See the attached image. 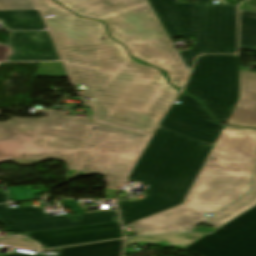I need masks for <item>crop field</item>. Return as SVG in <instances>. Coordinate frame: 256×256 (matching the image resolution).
<instances>
[{
    "mask_svg": "<svg viewBox=\"0 0 256 256\" xmlns=\"http://www.w3.org/2000/svg\"><path fill=\"white\" fill-rule=\"evenodd\" d=\"M47 191H34L33 189H22L19 186L8 188L9 199L13 201L34 198L33 194Z\"/></svg>",
    "mask_w": 256,
    "mask_h": 256,
    "instance_id": "a9b5d70f",
    "label": "crop field"
},
{
    "mask_svg": "<svg viewBox=\"0 0 256 256\" xmlns=\"http://www.w3.org/2000/svg\"><path fill=\"white\" fill-rule=\"evenodd\" d=\"M127 48L133 57L167 70L171 82L182 88L188 72L170 40L129 45Z\"/></svg>",
    "mask_w": 256,
    "mask_h": 256,
    "instance_id": "5142ce71",
    "label": "crop field"
},
{
    "mask_svg": "<svg viewBox=\"0 0 256 256\" xmlns=\"http://www.w3.org/2000/svg\"><path fill=\"white\" fill-rule=\"evenodd\" d=\"M170 38L191 35L195 44L189 51H179L190 70L194 58L202 53H236V6L224 0H149Z\"/></svg>",
    "mask_w": 256,
    "mask_h": 256,
    "instance_id": "f4fd0767",
    "label": "crop field"
},
{
    "mask_svg": "<svg viewBox=\"0 0 256 256\" xmlns=\"http://www.w3.org/2000/svg\"><path fill=\"white\" fill-rule=\"evenodd\" d=\"M179 105L171 106L160 127L214 146L223 125L215 123L194 99L181 94Z\"/></svg>",
    "mask_w": 256,
    "mask_h": 256,
    "instance_id": "d1516ede",
    "label": "crop field"
},
{
    "mask_svg": "<svg viewBox=\"0 0 256 256\" xmlns=\"http://www.w3.org/2000/svg\"><path fill=\"white\" fill-rule=\"evenodd\" d=\"M60 60L47 31L10 32L9 45L0 44V62Z\"/></svg>",
    "mask_w": 256,
    "mask_h": 256,
    "instance_id": "22f410ed",
    "label": "crop field"
},
{
    "mask_svg": "<svg viewBox=\"0 0 256 256\" xmlns=\"http://www.w3.org/2000/svg\"><path fill=\"white\" fill-rule=\"evenodd\" d=\"M62 203H63L65 206H68L70 209H72L73 211H75V212H77V213H79V214L98 212V211L84 212V211L78 206V204H77L74 200H62Z\"/></svg>",
    "mask_w": 256,
    "mask_h": 256,
    "instance_id": "730fd06b",
    "label": "crop field"
},
{
    "mask_svg": "<svg viewBox=\"0 0 256 256\" xmlns=\"http://www.w3.org/2000/svg\"><path fill=\"white\" fill-rule=\"evenodd\" d=\"M0 20L12 30L46 28L37 10L0 11Z\"/></svg>",
    "mask_w": 256,
    "mask_h": 256,
    "instance_id": "4a817a6b",
    "label": "crop field"
},
{
    "mask_svg": "<svg viewBox=\"0 0 256 256\" xmlns=\"http://www.w3.org/2000/svg\"><path fill=\"white\" fill-rule=\"evenodd\" d=\"M123 240L59 249L58 256H120ZM5 256H29L12 253Z\"/></svg>",
    "mask_w": 256,
    "mask_h": 256,
    "instance_id": "733c2abd",
    "label": "crop field"
},
{
    "mask_svg": "<svg viewBox=\"0 0 256 256\" xmlns=\"http://www.w3.org/2000/svg\"><path fill=\"white\" fill-rule=\"evenodd\" d=\"M36 1L43 14L55 15L45 20L58 48L114 43L106 37L101 23L79 19L51 0Z\"/></svg>",
    "mask_w": 256,
    "mask_h": 256,
    "instance_id": "28ad6ade",
    "label": "crop field"
},
{
    "mask_svg": "<svg viewBox=\"0 0 256 256\" xmlns=\"http://www.w3.org/2000/svg\"><path fill=\"white\" fill-rule=\"evenodd\" d=\"M71 217L77 220L73 221ZM114 221H118L116 211L49 217L43 212L42 207L29 206L10 209L6 204L0 205V223L5 225L6 231L30 233Z\"/></svg>",
    "mask_w": 256,
    "mask_h": 256,
    "instance_id": "3316defc",
    "label": "crop field"
},
{
    "mask_svg": "<svg viewBox=\"0 0 256 256\" xmlns=\"http://www.w3.org/2000/svg\"><path fill=\"white\" fill-rule=\"evenodd\" d=\"M227 124L256 127V73L240 71V99Z\"/></svg>",
    "mask_w": 256,
    "mask_h": 256,
    "instance_id": "d9b57169",
    "label": "crop field"
},
{
    "mask_svg": "<svg viewBox=\"0 0 256 256\" xmlns=\"http://www.w3.org/2000/svg\"><path fill=\"white\" fill-rule=\"evenodd\" d=\"M59 50L99 119L151 133L177 94L159 70L133 61L118 43Z\"/></svg>",
    "mask_w": 256,
    "mask_h": 256,
    "instance_id": "8a807250",
    "label": "crop field"
},
{
    "mask_svg": "<svg viewBox=\"0 0 256 256\" xmlns=\"http://www.w3.org/2000/svg\"><path fill=\"white\" fill-rule=\"evenodd\" d=\"M255 203H256V176H255L253 188L249 195L242 198L241 200L234 203L230 207L226 208L222 212L210 218L209 220L205 221L204 223L217 228Z\"/></svg>",
    "mask_w": 256,
    "mask_h": 256,
    "instance_id": "214f88e0",
    "label": "crop field"
},
{
    "mask_svg": "<svg viewBox=\"0 0 256 256\" xmlns=\"http://www.w3.org/2000/svg\"><path fill=\"white\" fill-rule=\"evenodd\" d=\"M212 146L158 127L128 179L149 184L143 200L117 201L127 224L184 203Z\"/></svg>",
    "mask_w": 256,
    "mask_h": 256,
    "instance_id": "34b2d1b8",
    "label": "crop field"
},
{
    "mask_svg": "<svg viewBox=\"0 0 256 256\" xmlns=\"http://www.w3.org/2000/svg\"><path fill=\"white\" fill-rule=\"evenodd\" d=\"M7 202L6 193L0 192V203Z\"/></svg>",
    "mask_w": 256,
    "mask_h": 256,
    "instance_id": "eef30255",
    "label": "crop field"
},
{
    "mask_svg": "<svg viewBox=\"0 0 256 256\" xmlns=\"http://www.w3.org/2000/svg\"><path fill=\"white\" fill-rule=\"evenodd\" d=\"M186 92L200 99L221 123L239 98L238 55H203L196 61Z\"/></svg>",
    "mask_w": 256,
    "mask_h": 256,
    "instance_id": "d8731c3e",
    "label": "crop field"
},
{
    "mask_svg": "<svg viewBox=\"0 0 256 256\" xmlns=\"http://www.w3.org/2000/svg\"><path fill=\"white\" fill-rule=\"evenodd\" d=\"M183 250L201 256H256V206Z\"/></svg>",
    "mask_w": 256,
    "mask_h": 256,
    "instance_id": "5a996713",
    "label": "crop field"
},
{
    "mask_svg": "<svg viewBox=\"0 0 256 256\" xmlns=\"http://www.w3.org/2000/svg\"><path fill=\"white\" fill-rule=\"evenodd\" d=\"M46 111L42 119L10 118L0 122V162L13 159L32 165L47 159L64 161L65 178L75 175L91 126V119Z\"/></svg>",
    "mask_w": 256,
    "mask_h": 256,
    "instance_id": "412701ff",
    "label": "crop field"
},
{
    "mask_svg": "<svg viewBox=\"0 0 256 256\" xmlns=\"http://www.w3.org/2000/svg\"><path fill=\"white\" fill-rule=\"evenodd\" d=\"M240 49L256 51V13L239 10Z\"/></svg>",
    "mask_w": 256,
    "mask_h": 256,
    "instance_id": "92a150f3",
    "label": "crop field"
},
{
    "mask_svg": "<svg viewBox=\"0 0 256 256\" xmlns=\"http://www.w3.org/2000/svg\"><path fill=\"white\" fill-rule=\"evenodd\" d=\"M78 16L102 20L122 44L166 39L145 0H55Z\"/></svg>",
    "mask_w": 256,
    "mask_h": 256,
    "instance_id": "e52e79f7",
    "label": "crop field"
},
{
    "mask_svg": "<svg viewBox=\"0 0 256 256\" xmlns=\"http://www.w3.org/2000/svg\"><path fill=\"white\" fill-rule=\"evenodd\" d=\"M95 128L77 176H106L107 199H113L149 135L99 121Z\"/></svg>",
    "mask_w": 256,
    "mask_h": 256,
    "instance_id": "dd49c442",
    "label": "crop field"
},
{
    "mask_svg": "<svg viewBox=\"0 0 256 256\" xmlns=\"http://www.w3.org/2000/svg\"><path fill=\"white\" fill-rule=\"evenodd\" d=\"M204 236L199 233H185V234H173V235H161V236H149V237H137L126 239V245L132 244H148V245H161L163 247H176L184 248L197 239Z\"/></svg>",
    "mask_w": 256,
    "mask_h": 256,
    "instance_id": "bc2a9ffb",
    "label": "crop field"
},
{
    "mask_svg": "<svg viewBox=\"0 0 256 256\" xmlns=\"http://www.w3.org/2000/svg\"><path fill=\"white\" fill-rule=\"evenodd\" d=\"M256 130L224 127L184 204L130 223L136 235L181 232L248 193ZM172 213L170 215H167Z\"/></svg>",
    "mask_w": 256,
    "mask_h": 256,
    "instance_id": "ac0d7876",
    "label": "crop field"
},
{
    "mask_svg": "<svg viewBox=\"0 0 256 256\" xmlns=\"http://www.w3.org/2000/svg\"><path fill=\"white\" fill-rule=\"evenodd\" d=\"M33 0H0V10L35 9Z\"/></svg>",
    "mask_w": 256,
    "mask_h": 256,
    "instance_id": "00972430",
    "label": "crop field"
},
{
    "mask_svg": "<svg viewBox=\"0 0 256 256\" xmlns=\"http://www.w3.org/2000/svg\"><path fill=\"white\" fill-rule=\"evenodd\" d=\"M0 243L24 246V247H31V248H38V245L36 243L23 241V239L20 237L1 238Z\"/></svg>",
    "mask_w": 256,
    "mask_h": 256,
    "instance_id": "4177f3b9",
    "label": "crop field"
},
{
    "mask_svg": "<svg viewBox=\"0 0 256 256\" xmlns=\"http://www.w3.org/2000/svg\"><path fill=\"white\" fill-rule=\"evenodd\" d=\"M118 222L80 226L28 234L47 248L121 237Z\"/></svg>",
    "mask_w": 256,
    "mask_h": 256,
    "instance_id": "cbeb9de0",
    "label": "crop field"
},
{
    "mask_svg": "<svg viewBox=\"0 0 256 256\" xmlns=\"http://www.w3.org/2000/svg\"><path fill=\"white\" fill-rule=\"evenodd\" d=\"M37 75L67 77L62 63H39Z\"/></svg>",
    "mask_w": 256,
    "mask_h": 256,
    "instance_id": "dafd665d",
    "label": "crop field"
}]
</instances>
